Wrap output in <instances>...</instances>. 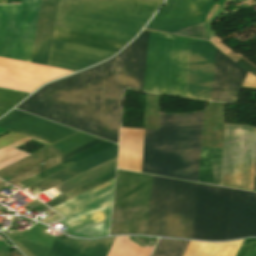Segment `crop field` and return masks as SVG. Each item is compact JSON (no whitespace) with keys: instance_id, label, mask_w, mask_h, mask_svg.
Instances as JSON below:
<instances>
[{"instance_id":"obj_5","label":"crop field","mask_w":256,"mask_h":256,"mask_svg":"<svg viewBox=\"0 0 256 256\" xmlns=\"http://www.w3.org/2000/svg\"><path fill=\"white\" fill-rule=\"evenodd\" d=\"M190 39L149 31L143 90L185 97Z\"/></svg>"},{"instance_id":"obj_17","label":"crop field","mask_w":256,"mask_h":256,"mask_svg":"<svg viewBox=\"0 0 256 256\" xmlns=\"http://www.w3.org/2000/svg\"><path fill=\"white\" fill-rule=\"evenodd\" d=\"M114 238L84 241L57 235L47 256H106Z\"/></svg>"},{"instance_id":"obj_4","label":"crop field","mask_w":256,"mask_h":256,"mask_svg":"<svg viewBox=\"0 0 256 256\" xmlns=\"http://www.w3.org/2000/svg\"><path fill=\"white\" fill-rule=\"evenodd\" d=\"M196 187L153 176L146 235L191 239Z\"/></svg>"},{"instance_id":"obj_33","label":"crop field","mask_w":256,"mask_h":256,"mask_svg":"<svg viewBox=\"0 0 256 256\" xmlns=\"http://www.w3.org/2000/svg\"><path fill=\"white\" fill-rule=\"evenodd\" d=\"M253 190H256V164H255V175H254V185Z\"/></svg>"},{"instance_id":"obj_31","label":"crop field","mask_w":256,"mask_h":256,"mask_svg":"<svg viewBox=\"0 0 256 256\" xmlns=\"http://www.w3.org/2000/svg\"><path fill=\"white\" fill-rule=\"evenodd\" d=\"M236 63H238L240 66L246 68L249 70V72H251L253 75L256 76V66L253 65L252 63H250L249 61H247L245 58H241L239 61H237Z\"/></svg>"},{"instance_id":"obj_35","label":"crop field","mask_w":256,"mask_h":256,"mask_svg":"<svg viewBox=\"0 0 256 256\" xmlns=\"http://www.w3.org/2000/svg\"><path fill=\"white\" fill-rule=\"evenodd\" d=\"M57 214H55V215H53V216H51V217H49L48 219H50V218H52V217H54V216H56Z\"/></svg>"},{"instance_id":"obj_25","label":"crop field","mask_w":256,"mask_h":256,"mask_svg":"<svg viewBox=\"0 0 256 256\" xmlns=\"http://www.w3.org/2000/svg\"><path fill=\"white\" fill-rule=\"evenodd\" d=\"M189 241L160 239L152 256H182Z\"/></svg>"},{"instance_id":"obj_28","label":"crop field","mask_w":256,"mask_h":256,"mask_svg":"<svg viewBox=\"0 0 256 256\" xmlns=\"http://www.w3.org/2000/svg\"><path fill=\"white\" fill-rule=\"evenodd\" d=\"M28 93H22L0 88V115L26 97Z\"/></svg>"},{"instance_id":"obj_34","label":"crop field","mask_w":256,"mask_h":256,"mask_svg":"<svg viewBox=\"0 0 256 256\" xmlns=\"http://www.w3.org/2000/svg\"><path fill=\"white\" fill-rule=\"evenodd\" d=\"M0 4H6V0H0Z\"/></svg>"},{"instance_id":"obj_19","label":"crop field","mask_w":256,"mask_h":256,"mask_svg":"<svg viewBox=\"0 0 256 256\" xmlns=\"http://www.w3.org/2000/svg\"><path fill=\"white\" fill-rule=\"evenodd\" d=\"M117 145L97 154L94 155L76 165H73L53 176H50L34 185V188L38 189L39 191L43 192L65 180H68L90 168H93L113 157L116 156Z\"/></svg>"},{"instance_id":"obj_22","label":"crop field","mask_w":256,"mask_h":256,"mask_svg":"<svg viewBox=\"0 0 256 256\" xmlns=\"http://www.w3.org/2000/svg\"><path fill=\"white\" fill-rule=\"evenodd\" d=\"M113 145H115V144L105 142V143H103V144H101V145H99V146H97V147H95V148H93L89 151H86V152H84V153H82V154H80V155H78V156H76V157H74L70 160H67V161H65V162H63V163H61V164H59V165H57L53 168H50V169H48V170H46V171H44V172H42V173H40V174H38L34 177H31V178H29V179H27V180H25V181H23L19 184L26 188V187H28V186H30V185H32V184H34V183H36L40 180L52 175V174H55V173L65 169V168H67V167H69L73 164H76V163H78V162H80V161H82V160H84V159H86V158H88V157H90L94 154H97V153H99V152H101V151H103V150H105V149H107V148H109Z\"/></svg>"},{"instance_id":"obj_13","label":"crop field","mask_w":256,"mask_h":256,"mask_svg":"<svg viewBox=\"0 0 256 256\" xmlns=\"http://www.w3.org/2000/svg\"><path fill=\"white\" fill-rule=\"evenodd\" d=\"M247 73L217 50L212 100L237 103Z\"/></svg>"},{"instance_id":"obj_11","label":"crop field","mask_w":256,"mask_h":256,"mask_svg":"<svg viewBox=\"0 0 256 256\" xmlns=\"http://www.w3.org/2000/svg\"><path fill=\"white\" fill-rule=\"evenodd\" d=\"M214 53L209 42L191 39L186 97L210 100Z\"/></svg>"},{"instance_id":"obj_20","label":"crop field","mask_w":256,"mask_h":256,"mask_svg":"<svg viewBox=\"0 0 256 256\" xmlns=\"http://www.w3.org/2000/svg\"><path fill=\"white\" fill-rule=\"evenodd\" d=\"M52 39L116 53L126 42L54 27Z\"/></svg>"},{"instance_id":"obj_16","label":"crop field","mask_w":256,"mask_h":256,"mask_svg":"<svg viewBox=\"0 0 256 256\" xmlns=\"http://www.w3.org/2000/svg\"><path fill=\"white\" fill-rule=\"evenodd\" d=\"M57 0H41L31 62L46 65Z\"/></svg>"},{"instance_id":"obj_9","label":"crop field","mask_w":256,"mask_h":256,"mask_svg":"<svg viewBox=\"0 0 256 256\" xmlns=\"http://www.w3.org/2000/svg\"><path fill=\"white\" fill-rule=\"evenodd\" d=\"M72 72L44 65L0 58V87L31 92L45 82Z\"/></svg>"},{"instance_id":"obj_32","label":"crop field","mask_w":256,"mask_h":256,"mask_svg":"<svg viewBox=\"0 0 256 256\" xmlns=\"http://www.w3.org/2000/svg\"><path fill=\"white\" fill-rule=\"evenodd\" d=\"M7 256H22V255L19 254V253L15 250V252H11V253H9Z\"/></svg>"},{"instance_id":"obj_24","label":"crop field","mask_w":256,"mask_h":256,"mask_svg":"<svg viewBox=\"0 0 256 256\" xmlns=\"http://www.w3.org/2000/svg\"><path fill=\"white\" fill-rule=\"evenodd\" d=\"M102 140L97 139V140H95V141H93V142H91V143H89V144H87L85 146H82V147H80V148H78V149H76V150H74V151H72L70 153H67V154H65V155H63V156H61V157H59V158H57L55 160H52V161H50V162H48V163H46V164H44V165H42V166H40L38 168H35V169H33V170L23 174V175H20V176L14 178V179H12V180H10L8 182L13 184V185H15V184H17V183H19V182H21V181H23V180L33 176V175H36V174H38V173H40V172H42V171H44V170H46V169H48V168H50L52 166H55V165L65 161V160H67L69 158H72V157H74V156H76V155H78V154H80V153H82V152H84V151H86L88 149H91V148H93V147H95V146L105 142V141H102Z\"/></svg>"},{"instance_id":"obj_21","label":"crop field","mask_w":256,"mask_h":256,"mask_svg":"<svg viewBox=\"0 0 256 256\" xmlns=\"http://www.w3.org/2000/svg\"><path fill=\"white\" fill-rule=\"evenodd\" d=\"M222 150L201 148L198 181L219 185Z\"/></svg>"},{"instance_id":"obj_18","label":"crop field","mask_w":256,"mask_h":256,"mask_svg":"<svg viewBox=\"0 0 256 256\" xmlns=\"http://www.w3.org/2000/svg\"><path fill=\"white\" fill-rule=\"evenodd\" d=\"M144 129L121 128L118 168L141 172Z\"/></svg>"},{"instance_id":"obj_1","label":"crop field","mask_w":256,"mask_h":256,"mask_svg":"<svg viewBox=\"0 0 256 256\" xmlns=\"http://www.w3.org/2000/svg\"><path fill=\"white\" fill-rule=\"evenodd\" d=\"M147 35L109 61L46 85L17 108L118 143L123 86L142 90Z\"/></svg>"},{"instance_id":"obj_26","label":"crop field","mask_w":256,"mask_h":256,"mask_svg":"<svg viewBox=\"0 0 256 256\" xmlns=\"http://www.w3.org/2000/svg\"><path fill=\"white\" fill-rule=\"evenodd\" d=\"M31 139L26 138L22 141H19L13 145H10L6 148H3L0 150V169L13 164L27 156H29L28 154L24 153V152H20L15 150L14 148L29 141Z\"/></svg>"},{"instance_id":"obj_2","label":"crop field","mask_w":256,"mask_h":256,"mask_svg":"<svg viewBox=\"0 0 256 256\" xmlns=\"http://www.w3.org/2000/svg\"><path fill=\"white\" fill-rule=\"evenodd\" d=\"M203 112L160 115L145 129L142 172L197 181Z\"/></svg>"},{"instance_id":"obj_3","label":"crop field","mask_w":256,"mask_h":256,"mask_svg":"<svg viewBox=\"0 0 256 256\" xmlns=\"http://www.w3.org/2000/svg\"><path fill=\"white\" fill-rule=\"evenodd\" d=\"M163 0H59L56 27L129 42Z\"/></svg>"},{"instance_id":"obj_10","label":"crop field","mask_w":256,"mask_h":256,"mask_svg":"<svg viewBox=\"0 0 256 256\" xmlns=\"http://www.w3.org/2000/svg\"><path fill=\"white\" fill-rule=\"evenodd\" d=\"M215 0H166L146 28L172 33L203 22Z\"/></svg>"},{"instance_id":"obj_6","label":"crop field","mask_w":256,"mask_h":256,"mask_svg":"<svg viewBox=\"0 0 256 256\" xmlns=\"http://www.w3.org/2000/svg\"><path fill=\"white\" fill-rule=\"evenodd\" d=\"M152 176L117 170L112 234H144Z\"/></svg>"},{"instance_id":"obj_23","label":"crop field","mask_w":256,"mask_h":256,"mask_svg":"<svg viewBox=\"0 0 256 256\" xmlns=\"http://www.w3.org/2000/svg\"><path fill=\"white\" fill-rule=\"evenodd\" d=\"M129 236L116 237L107 256H149L153 247L137 245L128 239Z\"/></svg>"},{"instance_id":"obj_27","label":"crop field","mask_w":256,"mask_h":256,"mask_svg":"<svg viewBox=\"0 0 256 256\" xmlns=\"http://www.w3.org/2000/svg\"><path fill=\"white\" fill-rule=\"evenodd\" d=\"M114 173H115V170L110 172V173H108V174H106V175H104V176H102V177H100V178H98V179H96V180H94V181H91V182H89V183H87V184H85V185H83V186H81V187H79V188L69 192V193H66V194H64V195H62V196H60V197H58V198H56V199L46 203V204L48 206L52 207V206H54V205H56V204H58V203H60V202H62L64 200H67V199H69V198H71V197H73V196H75V195H77V194H79L81 192H84V191H86V190H88V189H90V188H92V187H94L96 185H99V184H101V183H103V182L113 178L114 177Z\"/></svg>"},{"instance_id":"obj_15","label":"crop field","mask_w":256,"mask_h":256,"mask_svg":"<svg viewBox=\"0 0 256 256\" xmlns=\"http://www.w3.org/2000/svg\"><path fill=\"white\" fill-rule=\"evenodd\" d=\"M256 236V193L233 189L228 239Z\"/></svg>"},{"instance_id":"obj_8","label":"crop field","mask_w":256,"mask_h":256,"mask_svg":"<svg viewBox=\"0 0 256 256\" xmlns=\"http://www.w3.org/2000/svg\"><path fill=\"white\" fill-rule=\"evenodd\" d=\"M231 194L230 188L198 183L192 239H227Z\"/></svg>"},{"instance_id":"obj_7","label":"crop field","mask_w":256,"mask_h":256,"mask_svg":"<svg viewBox=\"0 0 256 256\" xmlns=\"http://www.w3.org/2000/svg\"><path fill=\"white\" fill-rule=\"evenodd\" d=\"M256 128L225 125L220 185L252 190Z\"/></svg>"},{"instance_id":"obj_30","label":"crop field","mask_w":256,"mask_h":256,"mask_svg":"<svg viewBox=\"0 0 256 256\" xmlns=\"http://www.w3.org/2000/svg\"><path fill=\"white\" fill-rule=\"evenodd\" d=\"M23 138H25V137L10 132L7 135L0 138V148L5 147L9 144H12L18 140L23 139Z\"/></svg>"},{"instance_id":"obj_29","label":"crop field","mask_w":256,"mask_h":256,"mask_svg":"<svg viewBox=\"0 0 256 256\" xmlns=\"http://www.w3.org/2000/svg\"><path fill=\"white\" fill-rule=\"evenodd\" d=\"M236 256H256V239L243 240Z\"/></svg>"},{"instance_id":"obj_12","label":"crop field","mask_w":256,"mask_h":256,"mask_svg":"<svg viewBox=\"0 0 256 256\" xmlns=\"http://www.w3.org/2000/svg\"><path fill=\"white\" fill-rule=\"evenodd\" d=\"M0 127L49 145L79 132L18 110L0 119Z\"/></svg>"},{"instance_id":"obj_14","label":"crop field","mask_w":256,"mask_h":256,"mask_svg":"<svg viewBox=\"0 0 256 256\" xmlns=\"http://www.w3.org/2000/svg\"><path fill=\"white\" fill-rule=\"evenodd\" d=\"M111 55L113 53L52 40L47 65L78 71Z\"/></svg>"}]
</instances>
